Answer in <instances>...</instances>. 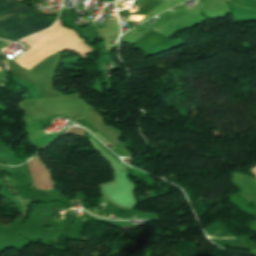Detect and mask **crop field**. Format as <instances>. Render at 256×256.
I'll list each match as a JSON object with an SVG mask.
<instances>
[{"label":"crop field","mask_w":256,"mask_h":256,"mask_svg":"<svg viewBox=\"0 0 256 256\" xmlns=\"http://www.w3.org/2000/svg\"><path fill=\"white\" fill-rule=\"evenodd\" d=\"M252 231H256V224H254L251 228Z\"/></svg>","instance_id":"34b2d1b8"},{"label":"crop field","mask_w":256,"mask_h":256,"mask_svg":"<svg viewBox=\"0 0 256 256\" xmlns=\"http://www.w3.org/2000/svg\"><path fill=\"white\" fill-rule=\"evenodd\" d=\"M11 43L0 40V65L7 69L5 54H2L3 50L6 49Z\"/></svg>","instance_id":"ac0d7876"},{"label":"crop field","mask_w":256,"mask_h":256,"mask_svg":"<svg viewBox=\"0 0 256 256\" xmlns=\"http://www.w3.org/2000/svg\"><path fill=\"white\" fill-rule=\"evenodd\" d=\"M53 24L32 8L12 0H0V38L16 42Z\"/></svg>","instance_id":"8a807250"},{"label":"crop field","mask_w":256,"mask_h":256,"mask_svg":"<svg viewBox=\"0 0 256 256\" xmlns=\"http://www.w3.org/2000/svg\"><path fill=\"white\" fill-rule=\"evenodd\" d=\"M80 218H82V219H83V218H85V217H83V216H82V217H80Z\"/></svg>","instance_id":"412701ff"}]
</instances>
